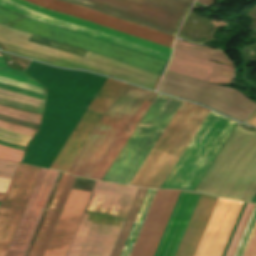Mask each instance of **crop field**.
I'll use <instances>...</instances> for the list:
<instances>
[{"label":"crop field","instance_id":"crop-field-1","mask_svg":"<svg viewBox=\"0 0 256 256\" xmlns=\"http://www.w3.org/2000/svg\"><path fill=\"white\" fill-rule=\"evenodd\" d=\"M156 93L107 79L50 166L69 169L102 115L121 114L133 118L144 100L152 102ZM142 104L133 119L115 114L102 116L68 173L101 180L108 167L150 105Z\"/></svg>","mask_w":256,"mask_h":256},{"label":"crop field","instance_id":"crop-field-2","mask_svg":"<svg viewBox=\"0 0 256 256\" xmlns=\"http://www.w3.org/2000/svg\"><path fill=\"white\" fill-rule=\"evenodd\" d=\"M171 48L173 37L133 23L56 0H26ZM22 0H0V6L25 16L71 29L169 61L171 49L79 18L42 8Z\"/></svg>","mask_w":256,"mask_h":256},{"label":"crop field","instance_id":"crop-field-3","mask_svg":"<svg viewBox=\"0 0 256 256\" xmlns=\"http://www.w3.org/2000/svg\"><path fill=\"white\" fill-rule=\"evenodd\" d=\"M27 36V33L19 32L0 24V42L4 45V50L17 55L64 67L86 69L110 75L124 81L151 89L153 88L159 76L158 74H154L97 54H93L87 51L85 53L84 50L64 45L55 41L31 34H29L28 37ZM25 38L26 41L60 50L76 56L82 57V55L84 53L85 54L82 58L76 57L70 54L26 42L24 41ZM1 43L0 45L2 46ZM160 78L161 75L159 76L153 88L154 90Z\"/></svg>","mask_w":256,"mask_h":256},{"label":"crop field","instance_id":"crop-field-4","mask_svg":"<svg viewBox=\"0 0 256 256\" xmlns=\"http://www.w3.org/2000/svg\"><path fill=\"white\" fill-rule=\"evenodd\" d=\"M137 188L96 182L82 221L120 227L125 220ZM77 227L66 256H109L120 229L81 222Z\"/></svg>","mask_w":256,"mask_h":256},{"label":"crop field","instance_id":"crop-field-5","mask_svg":"<svg viewBox=\"0 0 256 256\" xmlns=\"http://www.w3.org/2000/svg\"><path fill=\"white\" fill-rule=\"evenodd\" d=\"M209 111L183 101L130 185L160 188Z\"/></svg>","mask_w":256,"mask_h":256},{"label":"crop field","instance_id":"crop-field-6","mask_svg":"<svg viewBox=\"0 0 256 256\" xmlns=\"http://www.w3.org/2000/svg\"><path fill=\"white\" fill-rule=\"evenodd\" d=\"M0 23L13 29L42 36L163 74L168 62L74 31L28 19L0 8Z\"/></svg>","mask_w":256,"mask_h":256},{"label":"crop field","instance_id":"crop-field-7","mask_svg":"<svg viewBox=\"0 0 256 256\" xmlns=\"http://www.w3.org/2000/svg\"><path fill=\"white\" fill-rule=\"evenodd\" d=\"M235 125L210 111L161 188L193 191Z\"/></svg>","mask_w":256,"mask_h":256},{"label":"crop field","instance_id":"crop-field-8","mask_svg":"<svg viewBox=\"0 0 256 256\" xmlns=\"http://www.w3.org/2000/svg\"><path fill=\"white\" fill-rule=\"evenodd\" d=\"M186 192V191H183ZM181 192L174 211L162 236L160 244L154 256H194L208 220L218 198L204 194Z\"/></svg>","mask_w":256,"mask_h":256},{"label":"crop field","instance_id":"crop-field-9","mask_svg":"<svg viewBox=\"0 0 256 256\" xmlns=\"http://www.w3.org/2000/svg\"><path fill=\"white\" fill-rule=\"evenodd\" d=\"M84 7L109 13L141 25L176 35L185 15L193 4L191 0H64Z\"/></svg>","mask_w":256,"mask_h":256},{"label":"crop field","instance_id":"crop-field-10","mask_svg":"<svg viewBox=\"0 0 256 256\" xmlns=\"http://www.w3.org/2000/svg\"><path fill=\"white\" fill-rule=\"evenodd\" d=\"M59 172L41 169L6 256H24ZM68 174H62L29 256H35Z\"/></svg>","mask_w":256,"mask_h":256},{"label":"crop field","instance_id":"crop-field-11","mask_svg":"<svg viewBox=\"0 0 256 256\" xmlns=\"http://www.w3.org/2000/svg\"><path fill=\"white\" fill-rule=\"evenodd\" d=\"M206 59L233 65L221 51L199 47L176 39L167 71L210 83L231 82L233 66Z\"/></svg>","mask_w":256,"mask_h":256},{"label":"crop field","instance_id":"crop-field-12","mask_svg":"<svg viewBox=\"0 0 256 256\" xmlns=\"http://www.w3.org/2000/svg\"><path fill=\"white\" fill-rule=\"evenodd\" d=\"M41 168L20 163L5 193H0V256H5Z\"/></svg>","mask_w":256,"mask_h":256},{"label":"crop field","instance_id":"crop-field-13","mask_svg":"<svg viewBox=\"0 0 256 256\" xmlns=\"http://www.w3.org/2000/svg\"><path fill=\"white\" fill-rule=\"evenodd\" d=\"M180 191L157 190L130 256H153Z\"/></svg>","mask_w":256,"mask_h":256},{"label":"crop field","instance_id":"crop-field-14","mask_svg":"<svg viewBox=\"0 0 256 256\" xmlns=\"http://www.w3.org/2000/svg\"><path fill=\"white\" fill-rule=\"evenodd\" d=\"M242 204L218 199L195 256H221Z\"/></svg>","mask_w":256,"mask_h":256},{"label":"crop field","instance_id":"crop-field-15","mask_svg":"<svg viewBox=\"0 0 256 256\" xmlns=\"http://www.w3.org/2000/svg\"><path fill=\"white\" fill-rule=\"evenodd\" d=\"M90 194L70 190L43 256H65Z\"/></svg>","mask_w":256,"mask_h":256},{"label":"crop field","instance_id":"crop-field-16","mask_svg":"<svg viewBox=\"0 0 256 256\" xmlns=\"http://www.w3.org/2000/svg\"><path fill=\"white\" fill-rule=\"evenodd\" d=\"M254 206L255 205H251V204L246 205L245 210L242 214L240 222L237 226V229L235 231V234L233 236V239L230 243V246H229L228 251H227L225 256H234V254L236 252V249L238 247V244H239V242L241 240V237L243 235V232L245 230V227H246V225L248 223V220L250 218V215L253 211ZM255 224H256V206H255L254 211L251 215V218H250L249 223L246 227V230L244 232V235L242 237V240L239 244V247L237 249V252H236L235 256H242L243 255L244 250H245L246 245L249 241V238L251 236V233L253 231V228H254Z\"/></svg>","mask_w":256,"mask_h":256},{"label":"crop field","instance_id":"crop-field-17","mask_svg":"<svg viewBox=\"0 0 256 256\" xmlns=\"http://www.w3.org/2000/svg\"><path fill=\"white\" fill-rule=\"evenodd\" d=\"M146 191L147 190H145V189H141V188L138 189V191L136 193V196L134 198V201H133V203L131 205V208L129 210V213H128V215L126 217V220H125V222L123 224V227L121 229V232H120V234L118 236V239L116 241V244H115V246L113 248L111 256H119L120 255V252H121V250L123 248L125 240H126V238L128 236V233H129V231L131 229V226L133 224V221H134V219L136 217V214H137V212L139 210V207H140V205L142 203V200L144 198V195H145Z\"/></svg>","mask_w":256,"mask_h":256},{"label":"crop field","instance_id":"crop-field-18","mask_svg":"<svg viewBox=\"0 0 256 256\" xmlns=\"http://www.w3.org/2000/svg\"><path fill=\"white\" fill-rule=\"evenodd\" d=\"M156 190H148L120 256H129Z\"/></svg>","mask_w":256,"mask_h":256},{"label":"crop field","instance_id":"crop-field-19","mask_svg":"<svg viewBox=\"0 0 256 256\" xmlns=\"http://www.w3.org/2000/svg\"><path fill=\"white\" fill-rule=\"evenodd\" d=\"M74 178H75V177H74V176H71V175H70L69 178H68V181H67V183H66V185H65V188H64V190H63V193H62V195H61V197H60V200H59V202H58V205H57V207H56V209H55V212H54V214H53V217H52V219H51V221H50V224H49V226H48V229H47V231H46V233H45V236H44V238H43V241H42V243H41V246H40L39 251H38V253H37L36 256H42L43 253H44V250H45L46 245H47V243H48V241H49V238H50V236H51V233H52L53 228H54V226H55V224H56V221H57L58 216H59V214H60V212H61V209H62V207H63V204H64V202H65V199H66L67 195H68V192H69V190H70V187H71V185H72V183H73Z\"/></svg>","mask_w":256,"mask_h":256},{"label":"crop field","instance_id":"crop-field-20","mask_svg":"<svg viewBox=\"0 0 256 256\" xmlns=\"http://www.w3.org/2000/svg\"><path fill=\"white\" fill-rule=\"evenodd\" d=\"M0 114L10 116L13 118H17L23 121L31 122V123H36L39 124L41 115L38 114H32V113H27L7 107L0 106Z\"/></svg>","mask_w":256,"mask_h":256},{"label":"crop field","instance_id":"crop-field-21","mask_svg":"<svg viewBox=\"0 0 256 256\" xmlns=\"http://www.w3.org/2000/svg\"><path fill=\"white\" fill-rule=\"evenodd\" d=\"M24 152L0 145V158L19 163Z\"/></svg>","mask_w":256,"mask_h":256},{"label":"crop field","instance_id":"crop-field-22","mask_svg":"<svg viewBox=\"0 0 256 256\" xmlns=\"http://www.w3.org/2000/svg\"><path fill=\"white\" fill-rule=\"evenodd\" d=\"M18 164L0 160V177L11 179Z\"/></svg>","mask_w":256,"mask_h":256},{"label":"crop field","instance_id":"crop-field-23","mask_svg":"<svg viewBox=\"0 0 256 256\" xmlns=\"http://www.w3.org/2000/svg\"><path fill=\"white\" fill-rule=\"evenodd\" d=\"M0 128L6 129V130H10V131H14V132H18V133H22L28 136L33 137V135L36 133V130H32V129H28V128H24L18 125H14L8 122H4V121H0Z\"/></svg>","mask_w":256,"mask_h":256},{"label":"crop field","instance_id":"crop-field-24","mask_svg":"<svg viewBox=\"0 0 256 256\" xmlns=\"http://www.w3.org/2000/svg\"><path fill=\"white\" fill-rule=\"evenodd\" d=\"M0 87L4 88V89H7V90L14 91V92L26 94V95L33 96V97H36V98H40V99L45 98L44 95L29 91V90H25V89H22V88L12 87V86H8V85L1 84V83H0Z\"/></svg>","mask_w":256,"mask_h":256},{"label":"crop field","instance_id":"crop-field-25","mask_svg":"<svg viewBox=\"0 0 256 256\" xmlns=\"http://www.w3.org/2000/svg\"><path fill=\"white\" fill-rule=\"evenodd\" d=\"M243 256H256V226Z\"/></svg>","mask_w":256,"mask_h":256},{"label":"crop field","instance_id":"crop-field-26","mask_svg":"<svg viewBox=\"0 0 256 256\" xmlns=\"http://www.w3.org/2000/svg\"><path fill=\"white\" fill-rule=\"evenodd\" d=\"M0 119L11 122V123H15V124H18V125H21V126H24V127L36 129V130L38 129V126H39V125H36V124L26 123V122H23V121H20V120H17V119H13V118H10V117H6V116H3V115H0Z\"/></svg>","mask_w":256,"mask_h":256},{"label":"crop field","instance_id":"crop-field-27","mask_svg":"<svg viewBox=\"0 0 256 256\" xmlns=\"http://www.w3.org/2000/svg\"><path fill=\"white\" fill-rule=\"evenodd\" d=\"M246 123L256 127V112L251 116V118Z\"/></svg>","mask_w":256,"mask_h":256},{"label":"crop field","instance_id":"crop-field-28","mask_svg":"<svg viewBox=\"0 0 256 256\" xmlns=\"http://www.w3.org/2000/svg\"><path fill=\"white\" fill-rule=\"evenodd\" d=\"M197 2H201V3H205V4L211 5L214 2V0H197Z\"/></svg>","mask_w":256,"mask_h":256},{"label":"crop field","instance_id":"crop-field-29","mask_svg":"<svg viewBox=\"0 0 256 256\" xmlns=\"http://www.w3.org/2000/svg\"><path fill=\"white\" fill-rule=\"evenodd\" d=\"M251 202L256 203V194H255V196L253 197V199L251 200Z\"/></svg>","mask_w":256,"mask_h":256}]
</instances>
